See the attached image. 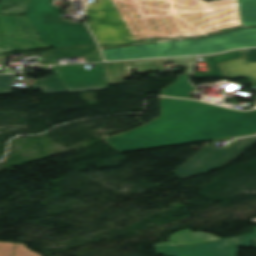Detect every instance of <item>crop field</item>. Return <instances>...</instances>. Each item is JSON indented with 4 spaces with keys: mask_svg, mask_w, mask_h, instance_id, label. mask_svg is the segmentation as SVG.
Segmentation results:
<instances>
[{
    "mask_svg": "<svg viewBox=\"0 0 256 256\" xmlns=\"http://www.w3.org/2000/svg\"><path fill=\"white\" fill-rule=\"evenodd\" d=\"M114 63L118 76H107L110 84L124 82L125 78H128L130 75H132V69H136V71L141 74H144L147 71L165 70L161 59Z\"/></svg>",
    "mask_w": 256,
    "mask_h": 256,
    "instance_id": "crop-field-9",
    "label": "crop field"
},
{
    "mask_svg": "<svg viewBox=\"0 0 256 256\" xmlns=\"http://www.w3.org/2000/svg\"><path fill=\"white\" fill-rule=\"evenodd\" d=\"M6 56L0 55V64H3Z\"/></svg>",
    "mask_w": 256,
    "mask_h": 256,
    "instance_id": "crop-field-24",
    "label": "crop field"
},
{
    "mask_svg": "<svg viewBox=\"0 0 256 256\" xmlns=\"http://www.w3.org/2000/svg\"><path fill=\"white\" fill-rule=\"evenodd\" d=\"M136 45L134 43L132 44H128V45H118V46H101L102 49H106V48H115V47H124V46H133Z\"/></svg>",
    "mask_w": 256,
    "mask_h": 256,
    "instance_id": "crop-field-23",
    "label": "crop field"
},
{
    "mask_svg": "<svg viewBox=\"0 0 256 256\" xmlns=\"http://www.w3.org/2000/svg\"><path fill=\"white\" fill-rule=\"evenodd\" d=\"M254 86H256V83H253Z\"/></svg>",
    "mask_w": 256,
    "mask_h": 256,
    "instance_id": "crop-field-27",
    "label": "crop field"
},
{
    "mask_svg": "<svg viewBox=\"0 0 256 256\" xmlns=\"http://www.w3.org/2000/svg\"><path fill=\"white\" fill-rule=\"evenodd\" d=\"M197 58L198 57L169 58V59H165V63L173 62L176 65L187 67V70L185 72V73H187V72H191L192 71Z\"/></svg>",
    "mask_w": 256,
    "mask_h": 256,
    "instance_id": "crop-field-17",
    "label": "crop field"
},
{
    "mask_svg": "<svg viewBox=\"0 0 256 256\" xmlns=\"http://www.w3.org/2000/svg\"><path fill=\"white\" fill-rule=\"evenodd\" d=\"M203 57L207 62V64L209 65L211 72L201 74L200 78H221L226 76L220 64L237 60L240 58H244L245 56L242 50H237V51L226 52L224 54L213 55V56H203Z\"/></svg>",
    "mask_w": 256,
    "mask_h": 256,
    "instance_id": "crop-field-12",
    "label": "crop field"
},
{
    "mask_svg": "<svg viewBox=\"0 0 256 256\" xmlns=\"http://www.w3.org/2000/svg\"><path fill=\"white\" fill-rule=\"evenodd\" d=\"M107 75H117L113 62L104 63Z\"/></svg>",
    "mask_w": 256,
    "mask_h": 256,
    "instance_id": "crop-field-22",
    "label": "crop field"
},
{
    "mask_svg": "<svg viewBox=\"0 0 256 256\" xmlns=\"http://www.w3.org/2000/svg\"><path fill=\"white\" fill-rule=\"evenodd\" d=\"M13 256H41L32 250L26 248V245L17 244Z\"/></svg>",
    "mask_w": 256,
    "mask_h": 256,
    "instance_id": "crop-field-19",
    "label": "crop field"
},
{
    "mask_svg": "<svg viewBox=\"0 0 256 256\" xmlns=\"http://www.w3.org/2000/svg\"><path fill=\"white\" fill-rule=\"evenodd\" d=\"M85 56L88 62L102 61L97 47L76 46L63 49H55L43 54L42 62H54L60 57Z\"/></svg>",
    "mask_w": 256,
    "mask_h": 256,
    "instance_id": "crop-field-10",
    "label": "crop field"
},
{
    "mask_svg": "<svg viewBox=\"0 0 256 256\" xmlns=\"http://www.w3.org/2000/svg\"><path fill=\"white\" fill-rule=\"evenodd\" d=\"M34 89H41L45 95L67 92L58 75H49L41 81V84L32 85Z\"/></svg>",
    "mask_w": 256,
    "mask_h": 256,
    "instance_id": "crop-field-16",
    "label": "crop field"
},
{
    "mask_svg": "<svg viewBox=\"0 0 256 256\" xmlns=\"http://www.w3.org/2000/svg\"><path fill=\"white\" fill-rule=\"evenodd\" d=\"M256 46V27L241 28L196 40L102 50L105 60L209 54L238 47Z\"/></svg>",
    "mask_w": 256,
    "mask_h": 256,
    "instance_id": "crop-field-2",
    "label": "crop field"
},
{
    "mask_svg": "<svg viewBox=\"0 0 256 256\" xmlns=\"http://www.w3.org/2000/svg\"><path fill=\"white\" fill-rule=\"evenodd\" d=\"M256 142V137L236 140L228 149L205 147L195 157L177 169L180 178H188L221 168Z\"/></svg>",
    "mask_w": 256,
    "mask_h": 256,
    "instance_id": "crop-field-6",
    "label": "crop field"
},
{
    "mask_svg": "<svg viewBox=\"0 0 256 256\" xmlns=\"http://www.w3.org/2000/svg\"><path fill=\"white\" fill-rule=\"evenodd\" d=\"M30 0H0V47L2 53L12 50H31L40 48H50L49 45L35 39L25 37L37 38L31 24L27 17L14 16L9 14H21L24 13ZM6 4H19L22 6H10ZM5 7H15L14 9H7ZM1 8L6 10H1ZM20 29L21 33H19ZM27 29L29 36H27L25 30ZM17 34H22L18 36ZM2 37H4L8 51H6ZM8 37H10L14 49H12ZM15 39H17L21 49H19Z\"/></svg>",
    "mask_w": 256,
    "mask_h": 256,
    "instance_id": "crop-field-4",
    "label": "crop field"
},
{
    "mask_svg": "<svg viewBox=\"0 0 256 256\" xmlns=\"http://www.w3.org/2000/svg\"><path fill=\"white\" fill-rule=\"evenodd\" d=\"M159 118L102 138L120 153L256 134V110L241 112L204 102L160 97Z\"/></svg>",
    "mask_w": 256,
    "mask_h": 256,
    "instance_id": "crop-field-1",
    "label": "crop field"
},
{
    "mask_svg": "<svg viewBox=\"0 0 256 256\" xmlns=\"http://www.w3.org/2000/svg\"><path fill=\"white\" fill-rule=\"evenodd\" d=\"M242 239L244 241H241ZM231 240L233 241L231 242ZM252 240H255L256 248V233L207 242L200 245L155 248L158 255L164 254L165 256H235L237 251L236 245L250 246ZM230 242L231 244H229ZM218 249H221V251H218Z\"/></svg>",
    "mask_w": 256,
    "mask_h": 256,
    "instance_id": "crop-field-7",
    "label": "crop field"
},
{
    "mask_svg": "<svg viewBox=\"0 0 256 256\" xmlns=\"http://www.w3.org/2000/svg\"><path fill=\"white\" fill-rule=\"evenodd\" d=\"M16 244L0 242V256H12Z\"/></svg>",
    "mask_w": 256,
    "mask_h": 256,
    "instance_id": "crop-field-20",
    "label": "crop field"
},
{
    "mask_svg": "<svg viewBox=\"0 0 256 256\" xmlns=\"http://www.w3.org/2000/svg\"><path fill=\"white\" fill-rule=\"evenodd\" d=\"M190 73L179 75L178 79L170 86L161 91V95L173 97L190 98L194 93H199L189 82L188 76Z\"/></svg>",
    "mask_w": 256,
    "mask_h": 256,
    "instance_id": "crop-field-14",
    "label": "crop field"
},
{
    "mask_svg": "<svg viewBox=\"0 0 256 256\" xmlns=\"http://www.w3.org/2000/svg\"><path fill=\"white\" fill-rule=\"evenodd\" d=\"M87 23L98 44H127L133 41L111 0L86 4Z\"/></svg>",
    "mask_w": 256,
    "mask_h": 256,
    "instance_id": "crop-field-5",
    "label": "crop field"
},
{
    "mask_svg": "<svg viewBox=\"0 0 256 256\" xmlns=\"http://www.w3.org/2000/svg\"><path fill=\"white\" fill-rule=\"evenodd\" d=\"M16 75H0V95L10 94L13 87L11 83L15 80Z\"/></svg>",
    "mask_w": 256,
    "mask_h": 256,
    "instance_id": "crop-field-18",
    "label": "crop field"
},
{
    "mask_svg": "<svg viewBox=\"0 0 256 256\" xmlns=\"http://www.w3.org/2000/svg\"><path fill=\"white\" fill-rule=\"evenodd\" d=\"M51 2L31 0L25 12L40 40L54 48L95 45L84 23L68 24L66 19L60 20V9L51 5Z\"/></svg>",
    "mask_w": 256,
    "mask_h": 256,
    "instance_id": "crop-field-3",
    "label": "crop field"
},
{
    "mask_svg": "<svg viewBox=\"0 0 256 256\" xmlns=\"http://www.w3.org/2000/svg\"><path fill=\"white\" fill-rule=\"evenodd\" d=\"M192 77L199 78V75H192Z\"/></svg>",
    "mask_w": 256,
    "mask_h": 256,
    "instance_id": "crop-field-25",
    "label": "crop field"
},
{
    "mask_svg": "<svg viewBox=\"0 0 256 256\" xmlns=\"http://www.w3.org/2000/svg\"><path fill=\"white\" fill-rule=\"evenodd\" d=\"M243 26H256V0H239Z\"/></svg>",
    "mask_w": 256,
    "mask_h": 256,
    "instance_id": "crop-field-15",
    "label": "crop field"
},
{
    "mask_svg": "<svg viewBox=\"0 0 256 256\" xmlns=\"http://www.w3.org/2000/svg\"><path fill=\"white\" fill-rule=\"evenodd\" d=\"M248 62L256 61V49L243 50Z\"/></svg>",
    "mask_w": 256,
    "mask_h": 256,
    "instance_id": "crop-field-21",
    "label": "crop field"
},
{
    "mask_svg": "<svg viewBox=\"0 0 256 256\" xmlns=\"http://www.w3.org/2000/svg\"><path fill=\"white\" fill-rule=\"evenodd\" d=\"M218 239L219 237L214 235L206 234L204 232L193 233L186 229L172 234L169 237V242L154 244V246L190 245Z\"/></svg>",
    "mask_w": 256,
    "mask_h": 256,
    "instance_id": "crop-field-11",
    "label": "crop field"
},
{
    "mask_svg": "<svg viewBox=\"0 0 256 256\" xmlns=\"http://www.w3.org/2000/svg\"><path fill=\"white\" fill-rule=\"evenodd\" d=\"M253 231H254V232H256V227H255V228H253Z\"/></svg>",
    "mask_w": 256,
    "mask_h": 256,
    "instance_id": "crop-field-26",
    "label": "crop field"
},
{
    "mask_svg": "<svg viewBox=\"0 0 256 256\" xmlns=\"http://www.w3.org/2000/svg\"><path fill=\"white\" fill-rule=\"evenodd\" d=\"M221 66L227 78L247 77L250 82H256V62L247 63L244 58Z\"/></svg>",
    "mask_w": 256,
    "mask_h": 256,
    "instance_id": "crop-field-13",
    "label": "crop field"
},
{
    "mask_svg": "<svg viewBox=\"0 0 256 256\" xmlns=\"http://www.w3.org/2000/svg\"><path fill=\"white\" fill-rule=\"evenodd\" d=\"M95 69L84 70L81 65L53 66L50 71L58 73L68 92L102 89L109 87L105 69L101 63Z\"/></svg>",
    "mask_w": 256,
    "mask_h": 256,
    "instance_id": "crop-field-8",
    "label": "crop field"
}]
</instances>
